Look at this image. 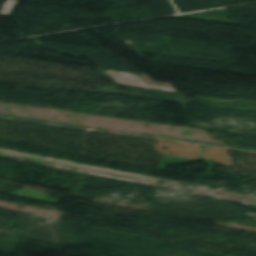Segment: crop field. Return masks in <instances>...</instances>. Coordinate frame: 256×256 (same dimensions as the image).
<instances>
[{
	"label": "crop field",
	"mask_w": 256,
	"mask_h": 256,
	"mask_svg": "<svg viewBox=\"0 0 256 256\" xmlns=\"http://www.w3.org/2000/svg\"><path fill=\"white\" fill-rule=\"evenodd\" d=\"M108 72L111 73L115 78H117L124 85L176 92L173 88L148 86L136 75L112 72V71H108Z\"/></svg>",
	"instance_id": "obj_1"
},
{
	"label": "crop field",
	"mask_w": 256,
	"mask_h": 256,
	"mask_svg": "<svg viewBox=\"0 0 256 256\" xmlns=\"http://www.w3.org/2000/svg\"><path fill=\"white\" fill-rule=\"evenodd\" d=\"M15 0H7L2 11L0 12V15H5L7 16L14 4Z\"/></svg>",
	"instance_id": "obj_2"
},
{
	"label": "crop field",
	"mask_w": 256,
	"mask_h": 256,
	"mask_svg": "<svg viewBox=\"0 0 256 256\" xmlns=\"http://www.w3.org/2000/svg\"><path fill=\"white\" fill-rule=\"evenodd\" d=\"M101 71L104 75H106L108 78H110L113 82H115L116 84L118 83L117 81H115L111 76H109L106 72H104L103 70H99Z\"/></svg>",
	"instance_id": "obj_3"
}]
</instances>
